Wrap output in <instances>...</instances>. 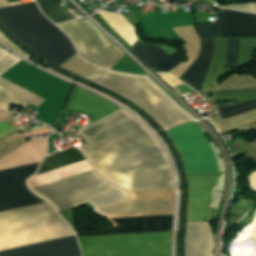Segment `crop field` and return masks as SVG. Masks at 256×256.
<instances>
[{
    "label": "crop field",
    "mask_w": 256,
    "mask_h": 256,
    "mask_svg": "<svg viewBox=\"0 0 256 256\" xmlns=\"http://www.w3.org/2000/svg\"><path fill=\"white\" fill-rule=\"evenodd\" d=\"M81 136L91 144L80 150L98 173L158 142L123 109L87 127ZM100 175L126 190L174 188L171 166L159 143Z\"/></svg>",
    "instance_id": "1"
},
{
    "label": "crop field",
    "mask_w": 256,
    "mask_h": 256,
    "mask_svg": "<svg viewBox=\"0 0 256 256\" xmlns=\"http://www.w3.org/2000/svg\"><path fill=\"white\" fill-rule=\"evenodd\" d=\"M38 164L0 170V212L43 203L24 185ZM72 234V229L47 203L0 213V251ZM80 255L75 235L0 252V256Z\"/></svg>",
    "instance_id": "2"
},
{
    "label": "crop field",
    "mask_w": 256,
    "mask_h": 256,
    "mask_svg": "<svg viewBox=\"0 0 256 256\" xmlns=\"http://www.w3.org/2000/svg\"><path fill=\"white\" fill-rule=\"evenodd\" d=\"M131 198L97 212L107 217L173 215L174 189L127 191ZM117 227L77 236L171 231L173 216L110 218Z\"/></svg>",
    "instance_id": "3"
},
{
    "label": "crop field",
    "mask_w": 256,
    "mask_h": 256,
    "mask_svg": "<svg viewBox=\"0 0 256 256\" xmlns=\"http://www.w3.org/2000/svg\"><path fill=\"white\" fill-rule=\"evenodd\" d=\"M0 20L22 42L60 66L76 53L68 37L43 16L35 2L0 8Z\"/></svg>",
    "instance_id": "4"
},
{
    "label": "crop field",
    "mask_w": 256,
    "mask_h": 256,
    "mask_svg": "<svg viewBox=\"0 0 256 256\" xmlns=\"http://www.w3.org/2000/svg\"><path fill=\"white\" fill-rule=\"evenodd\" d=\"M97 83L140 106L165 131L193 121L147 78L107 71Z\"/></svg>",
    "instance_id": "5"
},
{
    "label": "crop field",
    "mask_w": 256,
    "mask_h": 256,
    "mask_svg": "<svg viewBox=\"0 0 256 256\" xmlns=\"http://www.w3.org/2000/svg\"><path fill=\"white\" fill-rule=\"evenodd\" d=\"M57 211L89 202L96 208L128 198L120 187L107 183L94 170L32 189Z\"/></svg>",
    "instance_id": "6"
},
{
    "label": "crop field",
    "mask_w": 256,
    "mask_h": 256,
    "mask_svg": "<svg viewBox=\"0 0 256 256\" xmlns=\"http://www.w3.org/2000/svg\"><path fill=\"white\" fill-rule=\"evenodd\" d=\"M78 238L83 256H171V232Z\"/></svg>",
    "instance_id": "7"
},
{
    "label": "crop field",
    "mask_w": 256,
    "mask_h": 256,
    "mask_svg": "<svg viewBox=\"0 0 256 256\" xmlns=\"http://www.w3.org/2000/svg\"><path fill=\"white\" fill-rule=\"evenodd\" d=\"M178 148L187 175L218 172L211 147L196 122L167 131Z\"/></svg>",
    "instance_id": "8"
},
{
    "label": "crop field",
    "mask_w": 256,
    "mask_h": 256,
    "mask_svg": "<svg viewBox=\"0 0 256 256\" xmlns=\"http://www.w3.org/2000/svg\"><path fill=\"white\" fill-rule=\"evenodd\" d=\"M58 26L72 39L79 54L97 66L115 46L95 24L87 19Z\"/></svg>",
    "instance_id": "9"
},
{
    "label": "crop field",
    "mask_w": 256,
    "mask_h": 256,
    "mask_svg": "<svg viewBox=\"0 0 256 256\" xmlns=\"http://www.w3.org/2000/svg\"><path fill=\"white\" fill-rule=\"evenodd\" d=\"M223 172L188 177L189 205L187 222H207L212 188Z\"/></svg>",
    "instance_id": "10"
},
{
    "label": "crop field",
    "mask_w": 256,
    "mask_h": 256,
    "mask_svg": "<svg viewBox=\"0 0 256 256\" xmlns=\"http://www.w3.org/2000/svg\"><path fill=\"white\" fill-rule=\"evenodd\" d=\"M194 27L202 41V48L198 59L179 80L199 91L210 67L213 51V38H217V23L194 25Z\"/></svg>",
    "instance_id": "11"
},
{
    "label": "crop field",
    "mask_w": 256,
    "mask_h": 256,
    "mask_svg": "<svg viewBox=\"0 0 256 256\" xmlns=\"http://www.w3.org/2000/svg\"><path fill=\"white\" fill-rule=\"evenodd\" d=\"M119 108L109 100L77 86L68 106L70 110L94 117V120L89 122L91 124L117 111Z\"/></svg>",
    "instance_id": "12"
},
{
    "label": "crop field",
    "mask_w": 256,
    "mask_h": 256,
    "mask_svg": "<svg viewBox=\"0 0 256 256\" xmlns=\"http://www.w3.org/2000/svg\"><path fill=\"white\" fill-rule=\"evenodd\" d=\"M221 10L219 37H256V15Z\"/></svg>",
    "instance_id": "13"
},
{
    "label": "crop field",
    "mask_w": 256,
    "mask_h": 256,
    "mask_svg": "<svg viewBox=\"0 0 256 256\" xmlns=\"http://www.w3.org/2000/svg\"><path fill=\"white\" fill-rule=\"evenodd\" d=\"M213 237L207 223H187L186 256H212Z\"/></svg>",
    "instance_id": "14"
},
{
    "label": "crop field",
    "mask_w": 256,
    "mask_h": 256,
    "mask_svg": "<svg viewBox=\"0 0 256 256\" xmlns=\"http://www.w3.org/2000/svg\"><path fill=\"white\" fill-rule=\"evenodd\" d=\"M84 159L85 158L83 157V155L75 148L54 153L53 157L44 159L41 168L37 174L50 171Z\"/></svg>",
    "instance_id": "15"
},
{
    "label": "crop field",
    "mask_w": 256,
    "mask_h": 256,
    "mask_svg": "<svg viewBox=\"0 0 256 256\" xmlns=\"http://www.w3.org/2000/svg\"><path fill=\"white\" fill-rule=\"evenodd\" d=\"M99 15L130 45L138 39L135 36L136 29L121 15L100 12Z\"/></svg>",
    "instance_id": "16"
},
{
    "label": "crop field",
    "mask_w": 256,
    "mask_h": 256,
    "mask_svg": "<svg viewBox=\"0 0 256 256\" xmlns=\"http://www.w3.org/2000/svg\"><path fill=\"white\" fill-rule=\"evenodd\" d=\"M0 85L14 95L12 103L26 107L29 103L39 106L44 99L0 78Z\"/></svg>",
    "instance_id": "17"
},
{
    "label": "crop field",
    "mask_w": 256,
    "mask_h": 256,
    "mask_svg": "<svg viewBox=\"0 0 256 256\" xmlns=\"http://www.w3.org/2000/svg\"><path fill=\"white\" fill-rule=\"evenodd\" d=\"M130 50L143 60L150 69L169 56L157 47L143 46L138 40Z\"/></svg>",
    "instance_id": "18"
},
{
    "label": "crop field",
    "mask_w": 256,
    "mask_h": 256,
    "mask_svg": "<svg viewBox=\"0 0 256 256\" xmlns=\"http://www.w3.org/2000/svg\"><path fill=\"white\" fill-rule=\"evenodd\" d=\"M43 13L54 23L75 19L69 12L62 8L56 0H36Z\"/></svg>",
    "instance_id": "19"
},
{
    "label": "crop field",
    "mask_w": 256,
    "mask_h": 256,
    "mask_svg": "<svg viewBox=\"0 0 256 256\" xmlns=\"http://www.w3.org/2000/svg\"><path fill=\"white\" fill-rule=\"evenodd\" d=\"M221 85L217 90L247 88L256 86V79H252L251 75H234Z\"/></svg>",
    "instance_id": "20"
},
{
    "label": "crop field",
    "mask_w": 256,
    "mask_h": 256,
    "mask_svg": "<svg viewBox=\"0 0 256 256\" xmlns=\"http://www.w3.org/2000/svg\"><path fill=\"white\" fill-rule=\"evenodd\" d=\"M256 109V100L218 109L222 119Z\"/></svg>",
    "instance_id": "21"
},
{
    "label": "crop field",
    "mask_w": 256,
    "mask_h": 256,
    "mask_svg": "<svg viewBox=\"0 0 256 256\" xmlns=\"http://www.w3.org/2000/svg\"><path fill=\"white\" fill-rule=\"evenodd\" d=\"M253 120H256V111H252L233 118L217 121L214 122V124L217 126L218 129H222L226 127H233Z\"/></svg>",
    "instance_id": "22"
},
{
    "label": "crop field",
    "mask_w": 256,
    "mask_h": 256,
    "mask_svg": "<svg viewBox=\"0 0 256 256\" xmlns=\"http://www.w3.org/2000/svg\"><path fill=\"white\" fill-rule=\"evenodd\" d=\"M26 141L28 140L25 137L17 134H12L0 140V157L4 156L5 154L12 151Z\"/></svg>",
    "instance_id": "23"
},
{
    "label": "crop field",
    "mask_w": 256,
    "mask_h": 256,
    "mask_svg": "<svg viewBox=\"0 0 256 256\" xmlns=\"http://www.w3.org/2000/svg\"><path fill=\"white\" fill-rule=\"evenodd\" d=\"M239 41L240 38H229L224 69L236 64Z\"/></svg>",
    "instance_id": "24"
},
{
    "label": "crop field",
    "mask_w": 256,
    "mask_h": 256,
    "mask_svg": "<svg viewBox=\"0 0 256 256\" xmlns=\"http://www.w3.org/2000/svg\"><path fill=\"white\" fill-rule=\"evenodd\" d=\"M185 61L179 54L176 52L173 53L170 57L166 58L164 61H162L160 64H158L153 69L157 72H169L172 70L175 66Z\"/></svg>",
    "instance_id": "25"
},
{
    "label": "crop field",
    "mask_w": 256,
    "mask_h": 256,
    "mask_svg": "<svg viewBox=\"0 0 256 256\" xmlns=\"http://www.w3.org/2000/svg\"><path fill=\"white\" fill-rule=\"evenodd\" d=\"M20 60L8 51L4 49L0 50V76Z\"/></svg>",
    "instance_id": "26"
},
{
    "label": "crop field",
    "mask_w": 256,
    "mask_h": 256,
    "mask_svg": "<svg viewBox=\"0 0 256 256\" xmlns=\"http://www.w3.org/2000/svg\"><path fill=\"white\" fill-rule=\"evenodd\" d=\"M124 55L125 54L115 46L98 67L111 69Z\"/></svg>",
    "instance_id": "27"
},
{
    "label": "crop field",
    "mask_w": 256,
    "mask_h": 256,
    "mask_svg": "<svg viewBox=\"0 0 256 256\" xmlns=\"http://www.w3.org/2000/svg\"><path fill=\"white\" fill-rule=\"evenodd\" d=\"M13 112L5 111L0 109V122L3 121H12ZM11 122L0 123V136L10 132L17 130L15 127L10 125Z\"/></svg>",
    "instance_id": "28"
},
{
    "label": "crop field",
    "mask_w": 256,
    "mask_h": 256,
    "mask_svg": "<svg viewBox=\"0 0 256 256\" xmlns=\"http://www.w3.org/2000/svg\"><path fill=\"white\" fill-rule=\"evenodd\" d=\"M12 97L13 95H11L9 92H7L2 87H0V107L1 108L8 109Z\"/></svg>",
    "instance_id": "29"
},
{
    "label": "crop field",
    "mask_w": 256,
    "mask_h": 256,
    "mask_svg": "<svg viewBox=\"0 0 256 256\" xmlns=\"http://www.w3.org/2000/svg\"><path fill=\"white\" fill-rule=\"evenodd\" d=\"M223 7L256 13V3H250V4H246V5H226Z\"/></svg>",
    "instance_id": "30"
},
{
    "label": "crop field",
    "mask_w": 256,
    "mask_h": 256,
    "mask_svg": "<svg viewBox=\"0 0 256 256\" xmlns=\"http://www.w3.org/2000/svg\"><path fill=\"white\" fill-rule=\"evenodd\" d=\"M0 41L3 42L5 45H7L12 50L16 51L20 55L24 56L25 58H30L28 55H26L23 51L15 47L1 32H0Z\"/></svg>",
    "instance_id": "31"
},
{
    "label": "crop field",
    "mask_w": 256,
    "mask_h": 256,
    "mask_svg": "<svg viewBox=\"0 0 256 256\" xmlns=\"http://www.w3.org/2000/svg\"><path fill=\"white\" fill-rule=\"evenodd\" d=\"M105 70H100V69H95L88 77L87 79L93 81V82H97L101 76L105 73Z\"/></svg>",
    "instance_id": "32"
},
{
    "label": "crop field",
    "mask_w": 256,
    "mask_h": 256,
    "mask_svg": "<svg viewBox=\"0 0 256 256\" xmlns=\"http://www.w3.org/2000/svg\"><path fill=\"white\" fill-rule=\"evenodd\" d=\"M8 6L5 2V0H0V7H6Z\"/></svg>",
    "instance_id": "33"
}]
</instances>
